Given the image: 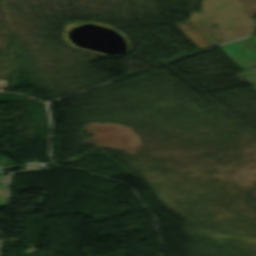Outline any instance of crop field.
I'll list each match as a JSON object with an SVG mask.
<instances>
[{"label":"crop field","instance_id":"1","mask_svg":"<svg viewBox=\"0 0 256 256\" xmlns=\"http://www.w3.org/2000/svg\"><path fill=\"white\" fill-rule=\"evenodd\" d=\"M254 15L256 0H202V12L190 13V22L174 25L202 50L254 33Z\"/></svg>","mask_w":256,"mask_h":256},{"label":"crop field","instance_id":"2","mask_svg":"<svg viewBox=\"0 0 256 256\" xmlns=\"http://www.w3.org/2000/svg\"><path fill=\"white\" fill-rule=\"evenodd\" d=\"M7 181L0 182V207L6 205Z\"/></svg>","mask_w":256,"mask_h":256}]
</instances>
